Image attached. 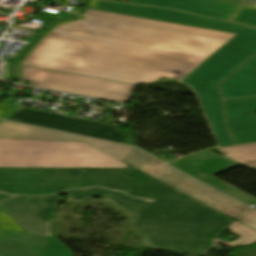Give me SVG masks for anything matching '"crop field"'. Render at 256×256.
<instances>
[{
  "label": "crop field",
  "mask_w": 256,
  "mask_h": 256,
  "mask_svg": "<svg viewBox=\"0 0 256 256\" xmlns=\"http://www.w3.org/2000/svg\"><path fill=\"white\" fill-rule=\"evenodd\" d=\"M225 40L78 15L52 22L15 64L130 84L178 79Z\"/></svg>",
  "instance_id": "8a807250"
},
{
  "label": "crop field",
  "mask_w": 256,
  "mask_h": 256,
  "mask_svg": "<svg viewBox=\"0 0 256 256\" xmlns=\"http://www.w3.org/2000/svg\"><path fill=\"white\" fill-rule=\"evenodd\" d=\"M70 197L108 199L137 218L130 224L145 235L149 248L207 255L218 244L212 242L234 220L183 194L178 200L154 203L130 199L101 189L70 191Z\"/></svg>",
  "instance_id": "ac0d7876"
},
{
  "label": "crop field",
  "mask_w": 256,
  "mask_h": 256,
  "mask_svg": "<svg viewBox=\"0 0 256 256\" xmlns=\"http://www.w3.org/2000/svg\"><path fill=\"white\" fill-rule=\"evenodd\" d=\"M88 186L117 189L147 199H178L183 194L136 169L0 168V192L53 194Z\"/></svg>",
  "instance_id": "34b2d1b8"
},
{
  "label": "crop field",
  "mask_w": 256,
  "mask_h": 256,
  "mask_svg": "<svg viewBox=\"0 0 256 256\" xmlns=\"http://www.w3.org/2000/svg\"><path fill=\"white\" fill-rule=\"evenodd\" d=\"M0 167L127 168L82 142L0 139Z\"/></svg>",
  "instance_id": "412701ff"
},
{
  "label": "crop field",
  "mask_w": 256,
  "mask_h": 256,
  "mask_svg": "<svg viewBox=\"0 0 256 256\" xmlns=\"http://www.w3.org/2000/svg\"><path fill=\"white\" fill-rule=\"evenodd\" d=\"M255 52L256 29L246 27L181 81L196 91L205 112L223 110L216 83Z\"/></svg>",
  "instance_id": "f4fd0767"
},
{
  "label": "crop field",
  "mask_w": 256,
  "mask_h": 256,
  "mask_svg": "<svg viewBox=\"0 0 256 256\" xmlns=\"http://www.w3.org/2000/svg\"><path fill=\"white\" fill-rule=\"evenodd\" d=\"M123 162L182 191L219 212L235 219L248 206L166 166L143 152L133 148Z\"/></svg>",
  "instance_id": "dd49c442"
},
{
  "label": "crop field",
  "mask_w": 256,
  "mask_h": 256,
  "mask_svg": "<svg viewBox=\"0 0 256 256\" xmlns=\"http://www.w3.org/2000/svg\"><path fill=\"white\" fill-rule=\"evenodd\" d=\"M14 77L32 81L31 86L127 103L135 86L13 64Z\"/></svg>",
  "instance_id": "e52e79f7"
},
{
  "label": "crop field",
  "mask_w": 256,
  "mask_h": 256,
  "mask_svg": "<svg viewBox=\"0 0 256 256\" xmlns=\"http://www.w3.org/2000/svg\"><path fill=\"white\" fill-rule=\"evenodd\" d=\"M0 256H73L54 237L27 233L0 208Z\"/></svg>",
  "instance_id": "d8731c3e"
},
{
  "label": "crop field",
  "mask_w": 256,
  "mask_h": 256,
  "mask_svg": "<svg viewBox=\"0 0 256 256\" xmlns=\"http://www.w3.org/2000/svg\"><path fill=\"white\" fill-rule=\"evenodd\" d=\"M10 120L119 143L126 137L119 133L115 125L23 107Z\"/></svg>",
  "instance_id": "5a996713"
},
{
  "label": "crop field",
  "mask_w": 256,
  "mask_h": 256,
  "mask_svg": "<svg viewBox=\"0 0 256 256\" xmlns=\"http://www.w3.org/2000/svg\"><path fill=\"white\" fill-rule=\"evenodd\" d=\"M170 165L247 205H256V198L212 177L238 165L210 150L194 153Z\"/></svg>",
  "instance_id": "3316defc"
},
{
  "label": "crop field",
  "mask_w": 256,
  "mask_h": 256,
  "mask_svg": "<svg viewBox=\"0 0 256 256\" xmlns=\"http://www.w3.org/2000/svg\"><path fill=\"white\" fill-rule=\"evenodd\" d=\"M87 8L127 14L132 16L150 18L155 20L192 25L216 30H222L227 32H233L237 34V31L241 30L245 26L227 23L215 19H210L202 16L188 14L171 9L136 6L112 2H103L96 0H89Z\"/></svg>",
  "instance_id": "28ad6ade"
},
{
  "label": "crop field",
  "mask_w": 256,
  "mask_h": 256,
  "mask_svg": "<svg viewBox=\"0 0 256 256\" xmlns=\"http://www.w3.org/2000/svg\"><path fill=\"white\" fill-rule=\"evenodd\" d=\"M64 197H16L0 207L27 232L52 236L51 222Z\"/></svg>",
  "instance_id": "d1516ede"
},
{
  "label": "crop field",
  "mask_w": 256,
  "mask_h": 256,
  "mask_svg": "<svg viewBox=\"0 0 256 256\" xmlns=\"http://www.w3.org/2000/svg\"><path fill=\"white\" fill-rule=\"evenodd\" d=\"M0 138L83 141L121 161L132 149L127 146L9 122L0 124Z\"/></svg>",
  "instance_id": "22f410ed"
},
{
  "label": "crop field",
  "mask_w": 256,
  "mask_h": 256,
  "mask_svg": "<svg viewBox=\"0 0 256 256\" xmlns=\"http://www.w3.org/2000/svg\"><path fill=\"white\" fill-rule=\"evenodd\" d=\"M256 27V9L242 6L231 20ZM224 99L256 96V56L220 85Z\"/></svg>",
  "instance_id": "cbeb9de0"
},
{
  "label": "crop field",
  "mask_w": 256,
  "mask_h": 256,
  "mask_svg": "<svg viewBox=\"0 0 256 256\" xmlns=\"http://www.w3.org/2000/svg\"><path fill=\"white\" fill-rule=\"evenodd\" d=\"M223 104L236 145L256 143V98L228 100Z\"/></svg>",
  "instance_id": "5142ce71"
},
{
  "label": "crop field",
  "mask_w": 256,
  "mask_h": 256,
  "mask_svg": "<svg viewBox=\"0 0 256 256\" xmlns=\"http://www.w3.org/2000/svg\"><path fill=\"white\" fill-rule=\"evenodd\" d=\"M131 3L162 6L229 20L241 6L223 0H130Z\"/></svg>",
  "instance_id": "d9b57169"
},
{
  "label": "crop field",
  "mask_w": 256,
  "mask_h": 256,
  "mask_svg": "<svg viewBox=\"0 0 256 256\" xmlns=\"http://www.w3.org/2000/svg\"><path fill=\"white\" fill-rule=\"evenodd\" d=\"M80 14L87 15V16H93V17H99V18H105V19H111V20H117V21H124V22L160 27V28H166V29H172V30H178V31H184V32H190V33H196V34H202V35H208V36H214V37H220V38H226V39H231L233 36L236 35L233 33H227V32H222V31H216V30H210V29H204V28H198V27H191V26L155 21V20H149V19H144V18H138V17L109 13V12L91 10V9H86V8H84Z\"/></svg>",
  "instance_id": "733c2abd"
},
{
  "label": "crop field",
  "mask_w": 256,
  "mask_h": 256,
  "mask_svg": "<svg viewBox=\"0 0 256 256\" xmlns=\"http://www.w3.org/2000/svg\"><path fill=\"white\" fill-rule=\"evenodd\" d=\"M224 156L242 164L256 168V145L222 149Z\"/></svg>",
  "instance_id": "4a817a6b"
},
{
  "label": "crop field",
  "mask_w": 256,
  "mask_h": 256,
  "mask_svg": "<svg viewBox=\"0 0 256 256\" xmlns=\"http://www.w3.org/2000/svg\"><path fill=\"white\" fill-rule=\"evenodd\" d=\"M220 146L234 145L225 126L223 111L205 113Z\"/></svg>",
  "instance_id": "bc2a9ffb"
},
{
  "label": "crop field",
  "mask_w": 256,
  "mask_h": 256,
  "mask_svg": "<svg viewBox=\"0 0 256 256\" xmlns=\"http://www.w3.org/2000/svg\"><path fill=\"white\" fill-rule=\"evenodd\" d=\"M237 221L256 230V210L250 208Z\"/></svg>",
  "instance_id": "214f88e0"
},
{
  "label": "crop field",
  "mask_w": 256,
  "mask_h": 256,
  "mask_svg": "<svg viewBox=\"0 0 256 256\" xmlns=\"http://www.w3.org/2000/svg\"><path fill=\"white\" fill-rule=\"evenodd\" d=\"M19 107L0 103V118L9 120Z\"/></svg>",
  "instance_id": "92a150f3"
},
{
  "label": "crop field",
  "mask_w": 256,
  "mask_h": 256,
  "mask_svg": "<svg viewBox=\"0 0 256 256\" xmlns=\"http://www.w3.org/2000/svg\"><path fill=\"white\" fill-rule=\"evenodd\" d=\"M13 197H15V196L0 193V205H1L4 201L9 200V199H11V198H13Z\"/></svg>",
  "instance_id": "dafd665d"
},
{
  "label": "crop field",
  "mask_w": 256,
  "mask_h": 256,
  "mask_svg": "<svg viewBox=\"0 0 256 256\" xmlns=\"http://www.w3.org/2000/svg\"><path fill=\"white\" fill-rule=\"evenodd\" d=\"M160 160H162V161H164V162H169V161H171L170 159H167V158H165V157H163V156H160V157H158ZM176 158V157H175ZM174 158V159H175ZM173 160V159H172Z\"/></svg>",
  "instance_id": "00972430"
},
{
  "label": "crop field",
  "mask_w": 256,
  "mask_h": 256,
  "mask_svg": "<svg viewBox=\"0 0 256 256\" xmlns=\"http://www.w3.org/2000/svg\"><path fill=\"white\" fill-rule=\"evenodd\" d=\"M1 122H5V121L0 120V123H1Z\"/></svg>",
  "instance_id": "a9b5d70f"
}]
</instances>
